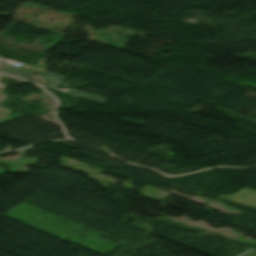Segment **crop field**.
<instances>
[{
	"instance_id": "crop-field-1",
	"label": "crop field",
	"mask_w": 256,
	"mask_h": 256,
	"mask_svg": "<svg viewBox=\"0 0 256 256\" xmlns=\"http://www.w3.org/2000/svg\"><path fill=\"white\" fill-rule=\"evenodd\" d=\"M220 198L228 199L246 205L256 206V191L247 188H244L233 195L221 196Z\"/></svg>"
},
{
	"instance_id": "crop-field-2",
	"label": "crop field",
	"mask_w": 256,
	"mask_h": 256,
	"mask_svg": "<svg viewBox=\"0 0 256 256\" xmlns=\"http://www.w3.org/2000/svg\"><path fill=\"white\" fill-rule=\"evenodd\" d=\"M0 72L6 73L15 77H19L22 79L28 80L31 78L35 73L26 71L23 69H18V68H12V67H0Z\"/></svg>"
},
{
	"instance_id": "crop-field-3",
	"label": "crop field",
	"mask_w": 256,
	"mask_h": 256,
	"mask_svg": "<svg viewBox=\"0 0 256 256\" xmlns=\"http://www.w3.org/2000/svg\"><path fill=\"white\" fill-rule=\"evenodd\" d=\"M2 76H4V75L0 74V78H1ZM4 87H5V85H3V84L0 83V92L4 89ZM6 96H7V95L0 94V101H1L2 99H4ZM7 112H9V110L0 108V123H1V124H4V123H6V122H8V121H10V120H12V119H14V118H12V117L6 115ZM7 114H8V113H7Z\"/></svg>"
},
{
	"instance_id": "crop-field-4",
	"label": "crop field",
	"mask_w": 256,
	"mask_h": 256,
	"mask_svg": "<svg viewBox=\"0 0 256 256\" xmlns=\"http://www.w3.org/2000/svg\"><path fill=\"white\" fill-rule=\"evenodd\" d=\"M68 93L73 94V95H77V96H80V97H83V98H87V99H90V100H93V101H97L99 103H104V102L107 101V99H104L102 97H96L94 95L84 93V92H81V91H77V90H71Z\"/></svg>"
},
{
	"instance_id": "crop-field-5",
	"label": "crop field",
	"mask_w": 256,
	"mask_h": 256,
	"mask_svg": "<svg viewBox=\"0 0 256 256\" xmlns=\"http://www.w3.org/2000/svg\"><path fill=\"white\" fill-rule=\"evenodd\" d=\"M42 73L48 77V79L50 80L51 86H54V85L60 83L59 80L62 78L61 75L56 74V73H52V72H48V71H44Z\"/></svg>"
},
{
	"instance_id": "crop-field-6",
	"label": "crop field",
	"mask_w": 256,
	"mask_h": 256,
	"mask_svg": "<svg viewBox=\"0 0 256 256\" xmlns=\"http://www.w3.org/2000/svg\"><path fill=\"white\" fill-rule=\"evenodd\" d=\"M30 81H33V82H36V83H39V84H46L47 85L46 78L41 74L33 77Z\"/></svg>"
},
{
	"instance_id": "crop-field-7",
	"label": "crop field",
	"mask_w": 256,
	"mask_h": 256,
	"mask_svg": "<svg viewBox=\"0 0 256 256\" xmlns=\"http://www.w3.org/2000/svg\"><path fill=\"white\" fill-rule=\"evenodd\" d=\"M18 67H21V68L27 67V68L32 69V71H36V72H39V71L42 70V69H40V68H34V67L29 66V65H26V64H22V65H20V66H18Z\"/></svg>"
},
{
	"instance_id": "crop-field-8",
	"label": "crop field",
	"mask_w": 256,
	"mask_h": 256,
	"mask_svg": "<svg viewBox=\"0 0 256 256\" xmlns=\"http://www.w3.org/2000/svg\"><path fill=\"white\" fill-rule=\"evenodd\" d=\"M5 61H0V65H2Z\"/></svg>"
},
{
	"instance_id": "crop-field-9",
	"label": "crop field",
	"mask_w": 256,
	"mask_h": 256,
	"mask_svg": "<svg viewBox=\"0 0 256 256\" xmlns=\"http://www.w3.org/2000/svg\"><path fill=\"white\" fill-rule=\"evenodd\" d=\"M1 192V191H0Z\"/></svg>"
}]
</instances>
